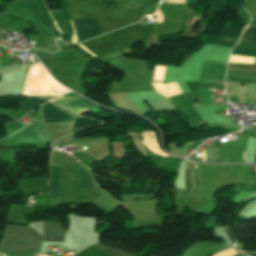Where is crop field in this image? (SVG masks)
Here are the masks:
<instances>
[{
  "label": "crop field",
  "mask_w": 256,
  "mask_h": 256,
  "mask_svg": "<svg viewBox=\"0 0 256 256\" xmlns=\"http://www.w3.org/2000/svg\"><path fill=\"white\" fill-rule=\"evenodd\" d=\"M42 239L29 227L9 225L0 249L18 252L39 250Z\"/></svg>",
  "instance_id": "obj_1"
},
{
  "label": "crop field",
  "mask_w": 256,
  "mask_h": 256,
  "mask_svg": "<svg viewBox=\"0 0 256 256\" xmlns=\"http://www.w3.org/2000/svg\"><path fill=\"white\" fill-rule=\"evenodd\" d=\"M96 57L121 49L120 45L111 36L110 33L82 43Z\"/></svg>",
  "instance_id": "obj_2"
},
{
  "label": "crop field",
  "mask_w": 256,
  "mask_h": 256,
  "mask_svg": "<svg viewBox=\"0 0 256 256\" xmlns=\"http://www.w3.org/2000/svg\"><path fill=\"white\" fill-rule=\"evenodd\" d=\"M225 68L226 64L223 62L203 61L199 71V80L224 82Z\"/></svg>",
  "instance_id": "obj_3"
},
{
  "label": "crop field",
  "mask_w": 256,
  "mask_h": 256,
  "mask_svg": "<svg viewBox=\"0 0 256 256\" xmlns=\"http://www.w3.org/2000/svg\"><path fill=\"white\" fill-rule=\"evenodd\" d=\"M77 34V43L101 35L97 22L89 20H73Z\"/></svg>",
  "instance_id": "obj_4"
},
{
  "label": "crop field",
  "mask_w": 256,
  "mask_h": 256,
  "mask_svg": "<svg viewBox=\"0 0 256 256\" xmlns=\"http://www.w3.org/2000/svg\"><path fill=\"white\" fill-rule=\"evenodd\" d=\"M40 112L43 122H68L72 115L52 103L43 105Z\"/></svg>",
  "instance_id": "obj_5"
},
{
  "label": "crop field",
  "mask_w": 256,
  "mask_h": 256,
  "mask_svg": "<svg viewBox=\"0 0 256 256\" xmlns=\"http://www.w3.org/2000/svg\"><path fill=\"white\" fill-rule=\"evenodd\" d=\"M50 168V199H68L66 194L61 188L60 173L61 167L55 165H49Z\"/></svg>",
  "instance_id": "obj_6"
},
{
  "label": "crop field",
  "mask_w": 256,
  "mask_h": 256,
  "mask_svg": "<svg viewBox=\"0 0 256 256\" xmlns=\"http://www.w3.org/2000/svg\"><path fill=\"white\" fill-rule=\"evenodd\" d=\"M52 101L78 115L80 113L89 111L84 99L81 97H59Z\"/></svg>",
  "instance_id": "obj_7"
},
{
  "label": "crop field",
  "mask_w": 256,
  "mask_h": 256,
  "mask_svg": "<svg viewBox=\"0 0 256 256\" xmlns=\"http://www.w3.org/2000/svg\"><path fill=\"white\" fill-rule=\"evenodd\" d=\"M43 236L45 241L63 243L64 231L57 221L45 222Z\"/></svg>",
  "instance_id": "obj_8"
},
{
  "label": "crop field",
  "mask_w": 256,
  "mask_h": 256,
  "mask_svg": "<svg viewBox=\"0 0 256 256\" xmlns=\"http://www.w3.org/2000/svg\"><path fill=\"white\" fill-rule=\"evenodd\" d=\"M151 84L155 87L158 93L167 98L182 94L175 81L165 84L162 82H152Z\"/></svg>",
  "instance_id": "obj_9"
},
{
  "label": "crop field",
  "mask_w": 256,
  "mask_h": 256,
  "mask_svg": "<svg viewBox=\"0 0 256 256\" xmlns=\"http://www.w3.org/2000/svg\"><path fill=\"white\" fill-rule=\"evenodd\" d=\"M80 172V177H81V183H82V188H83V193L84 195L87 194H93V193H99L100 191H98L92 180H91V176L90 173L87 171H81Z\"/></svg>",
  "instance_id": "obj_10"
},
{
  "label": "crop field",
  "mask_w": 256,
  "mask_h": 256,
  "mask_svg": "<svg viewBox=\"0 0 256 256\" xmlns=\"http://www.w3.org/2000/svg\"><path fill=\"white\" fill-rule=\"evenodd\" d=\"M199 161H202V159ZM203 161L208 163H220L219 146L206 148L203 152Z\"/></svg>",
  "instance_id": "obj_11"
},
{
  "label": "crop field",
  "mask_w": 256,
  "mask_h": 256,
  "mask_svg": "<svg viewBox=\"0 0 256 256\" xmlns=\"http://www.w3.org/2000/svg\"><path fill=\"white\" fill-rule=\"evenodd\" d=\"M51 98H53V97L37 96V97L31 98V99L21 103L20 105H21L24 113H26Z\"/></svg>",
  "instance_id": "obj_12"
},
{
  "label": "crop field",
  "mask_w": 256,
  "mask_h": 256,
  "mask_svg": "<svg viewBox=\"0 0 256 256\" xmlns=\"http://www.w3.org/2000/svg\"><path fill=\"white\" fill-rule=\"evenodd\" d=\"M178 164H179L178 160H176L174 158H170V157H165L162 162L163 169L170 171V172H175V173H177Z\"/></svg>",
  "instance_id": "obj_13"
},
{
  "label": "crop field",
  "mask_w": 256,
  "mask_h": 256,
  "mask_svg": "<svg viewBox=\"0 0 256 256\" xmlns=\"http://www.w3.org/2000/svg\"><path fill=\"white\" fill-rule=\"evenodd\" d=\"M241 39L256 40V26L247 27Z\"/></svg>",
  "instance_id": "obj_14"
},
{
  "label": "crop field",
  "mask_w": 256,
  "mask_h": 256,
  "mask_svg": "<svg viewBox=\"0 0 256 256\" xmlns=\"http://www.w3.org/2000/svg\"><path fill=\"white\" fill-rule=\"evenodd\" d=\"M232 54L256 56V49L236 47Z\"/></svg>",
  "instance_id": "obj_15"
},
{
  "label": "crop field",
  "mask_w": 256,
  "mask_h": 256,
  "mask_svg": "<svg viewBox=\"0 0 256 256\" xmlns=\"http://www.w3.org/2000/svg\"><path fill=\"white\" fill-rule=\"evenodd\" d=\"M192 170H193V166H187V171H186V190H192V188H193Z\"/></svg>",
  "instance_id": "obj_16"
},
{
  "label": "crop field",
  "mask_w": 256,
  "mask_h": 256,
  "mask_svg": "<svg viewBox=\"0 0 256 256\" xmlns=\"http://www.w3.org/2000/svg\"><path fill=\"white\" fill-rule=\"evenodd\" d=\"M236 41L237 40H234V39L221 38L216 43H214V45H219V46H225V47L233 48V46L236 43Z\"/></svg>",
  "instance_id": "obj_17"
},
{
  "label": "crop field",
  "mask_w": 256,
  "mask_h": 256,
  "mask_svg": "<svg viewBox=\"0 0 256 256\" xmlns=\"http://www.w3.org/2000/svg\"><path fill=\"white\" fill-rule=\"evenodd\" d=\"M238 46L256 47V41L240 40Z\"/></svg>",
  "instance_id": "obj_18"
},
{
  "label": "crop field",
  "mask_w": 256,
  "mask_h": 256,
  "mask_svg": "<svg viewBox=\"0 0 256 256\" xmlns=\"http://www.w3.org/2000/svg\"><path fill=\"white\" fill-rule=\"evenodd\" d=\"M251 24L256 25V19H255V20H253Z\"/></svg>",
  "instance_id": "obj_19"
},
{
  "label": "crop field",
  "mask_w": 256,
  "mask_h": 256,
  "mask_svg": "<svg viewBox=\"0 0 256 256\" xmlns=\"http://www.w3.org/2000/svg\"><path fill=\"white\" fill-rule=\"evenodd\" d=\"M1 77H2V75H0V82H1Z\"/></svg>",
  "instance_id": "obj_20"
},
{
  "label": "crop field",
  "mask_w": 256,
  "mask_h": 256,
  "mask_svg": "<svg viewBox=\"0 0 256 256\" xmlns=\"http://www.w3.org/2000/svg\"><path fill=\"white\" fill-rule=\"evenodd\" d=\"M38 256H44V255H38Z\"/></svg>",
  "instance_id": "obj_21"
}]
</instances>
